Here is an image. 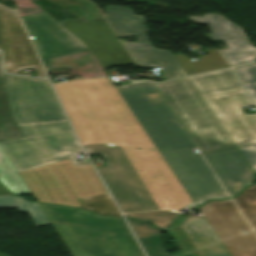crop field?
Here are the masks:
<instances>
[{
	"label": "crop field",
	"instance_id": "crop-field-31",
	"mask_svg": "<svg viewBox=\"0 0 256 256\" xmlns=\"http://www.w3.org/2000/svg\"><path fill=\"white\" fill-rule=\"evenodd\" d=\"M251 97L256 103V82L244 84Z\"/></svg>",
	"mask_w": 256,
	"mask_h": 256
},
{
	"label": "crop field",
	"instance_id": "crop-field-9",
	"mask_svg": "<svg viewBox=\"0 0 256 256\" xmlns=\"http://www.w3.org/2000/svg\"><path fill=\"white\" fill-rule=\"evenodd\" d=\"M45 68L46 59L87 51V47L45 12L21 18Z\"/></svg>",
	"mask_w": 256,
	"mask_h": 256
},
{
	"label": "crop field",
	"instance_id": "crop-field-14",
	"mask_svg": "<svg viewBox=\"0 0 256 256\" xmlns=\"http://www.w3.org/2000/svg\"><path fill=\"white\" fill-rule=\"evenodd\" d=\"M192 22L207 23L212 41L223 40L227 48L221 50L231 66L246 64L256 59V48L252 47L243 29L227 21L217 13L203 17L186 16Z\"/></svg>",
	"mask_w": 256,
	"mask_h": 256
},
{
	"label": "crop field",
	"instance_id": "crop-field-17",
	"mask_svg": "<svg viewBox=\"0 0 256 256\" xmlns=\"http://www.w3.org/2000/svg\"><path fill=\"white\" fill-rule=\"evenodd\" d=\"M105 17L117 36H136L138 42L149 43L143 17L134 16L131 9L116 6L103 7Z\"/></svg>",
	"mask_w": 256,
	"mask_h": 256
},
{
	"label": "crop field",
	"instance_id": "crop-field-13",
	"mask_svg": "<svg viewBox=\"0 0 256 256\" xmlns=\"http://www.w3.org/2000/svg\"><path fill=\"white\" fill-rule=\"evenodd\" d=\"M169 232L184 256L228 253L204 217L182 216Z\"/></svg>",
	"mask_w": 256,
	"mask_h": 256
},
{
	"label": "crop field",
	"instance_id": "crop-field-30",
	"mask_svg": "<svg viewBox=\"0 0 256 256\" xmlns=\"http://www.w3.org/2000/svg\"><path fill=\"white\" fill-rule=\"evenodd\" d=\"M256 174V145L238 147Z\"/></svg>",
	"mask_w": 256,
	"mask_h": 256
},
{
	"label": "crop field",
	"instance_id": "crop-field-8",
	"mask_svg": "<svg viewBox=\"0 0 256 256\" xmlns=\"http://www.w3.org/2000/svg\"><path fill=\"white\" fill-rule=\"evenodd\" d=\"M232 202L211 201L199 209L230 256H256V235Z\"/></svg>",
	"mask_w": 256,
	"mask_h": 256
},
{
	"label": "crop field",
	"instance_id": "crop-field-32",
	"mask_svg": "<svg viewBox=\"0 0 256 256\" xmlns=\"http://www.w3.org/2000/svg\"><path fill=\"white\" fill-rule=\"evenodd\" d=\"M75 167L90 165L89 162H77L75 158L71 159Z\"/></svg>",
	"mask_w": 256,
	"mask_h": 256
},
{
	"label": "crop field",
	"instance_id": "crop-field-15",
	"mask_svg": "<svg viewBox=\"0 0 256 256\" xmlns=\"http://www.w3.org/2000/svg\"><path fill=\"white\" fill-rule=\"evenodd\" d=\"M203 155L230 196L237 194L255 178L236 149Z\"/></svg>",
	"mask_w": 256,
	"mask_h": 256
},
{
	"label": "crop field",
	"instance_id": "crop-field-16",
	"mask_svg": "<svg viewBox=\"0 0 256 256\" xmlns=\"http://www.w3.org/2000/svg\"><path fill=\"white\" fill-rule=\"evenodd\" d=\"M123 43L139 67H160L167 79L186 75L171 51L155 49L150 44Z\"/></svg>",
	"mask_w": 256,
	"mask_h": 256
},
{
	"label": "crop field",
	"instance_id": "crop-field-24",
	"mask_svg": "<svg viewBox=\"0 0 256 256\" xmlns=\"http://www.w3.org/2000/svg\"><path fill=\"white\" fill-rule=\"evenodd\" d=\"M234 201L256 232V184L243 190Z\"/></svg>",
	"mask_w": 256,
	"mask_h": 256
},
{
	"label": "crop field",
	"instance_id": "crop-field-12",
	"mask_svg": "<svg viewBox=\"0 0 256 256\" xmlns=\"http://www.w3.org/2000/svg\"><path fill=\"white\" fill-rule=\"evenodd\" d=\"M61 25L86 44L102 68L134 64L104 18Z\"/></svg>",
	"mask_w": 256,
	"mask_h": 256
},
{
	"label": "crop field",
	"instance_id": "crop-field-34",
	"mask_svg": "<svg viewBox=\"0 0 256 256\" xmlns=\"http://www.w3.org/2000/svg\"><path fill=\"white\" fill-rule=\"evenodd\" d=\"M0 48H1V45H0Z\"/></svg>",
	"mask_w": 256,
	"mask_h": 256
},
{
	"label": "crop field",
	"instance_id": "crop-field-5",
	"mask_svg": "<svg viewBox=\"0 0 256 256\" xmlns=\"http://www.w3.org/2000/svg\"><path fill=\"white\" fill-rule=\"evenodd\" d=\"M36 201L78 207L79 198L105 193L92 166L75 168L71 160L20 172Z\"/></svg>",
	"mask_w": 256,
	"mask_h": 256
},
{
	"label": "crop field",
	"instance_id": "crop-field-21",
	"mask_svg": "<svg viewBox=\"0 0 256 256\" xmlns=\"http://www.w3.org/2000/svg\"><path fill=\"white\" fill-rule=\"evenodd\" d=\"M17 207L19 211L28 213L36 226L50 224L38 203L26 201L15 195L0 196V208Z\"/></svg>",
	"mask_w": 256,
	"mask_h": 256
},
{
	"label": "crop field",
	"instance_id": "crop-field-28",
	"mask_svg": "<svg viewBox=\"0 0 256 256\" xmlns=\"http://www.w3.org/2000/svg\"><path fill=\"white\" fill-rule=\"evenodd\" d=\"M131 229L137 236V238L140 237H145V236H150L158 233H162L163 231L158 230L148 224H145L140 221H135V220H127Z\"/></svg>",
	"mask_w": 256,
	"mask_h": 256
},
{
	"label": "crop field",
	"instance_id": "crop-field-7",
	"mask_svg": "<svg viewBox=\"0 0 256 256\" xmlns=\"http://www.w3.org/2000/svg\"><path fill=\"white\" fill-rule=\"evenodd\" d=\"M85 148L89 155L102 154L108 167L97 169L122 212L157 209L119 147L90 145Z\"/></svg>",
	"mask_w": 256,
	"mask_h": 256
},
{
	"label": "crop field",
	"instance_id": "crop-field-33",
	"mask_svg": "<svg viewBox=\"0 0 256 256\" xmlns=\"http://www.w3.org/2000/svg\"><path fill=\"white\" fill-rule=\"evenodd\" d=\"M214 256H229V254L214 255Z\"/></svg>",
	"mask_w": 256,
	"mask_h": 256
},
{
	"label": "crop field",
	"instance_id": "crop-field-23",
	"mask_svg": "<svg viewBox=\"0 0 256 256\" xmlns=\"http://www.w3.org/2000/svg\"><path fill=\"white\" fill-rule=\"evenodd\" d=\"M0 182L15 194L30 193L15 168L0 148Z\"/></svg>",
	"mask_w": 256,
	"mask_h": 256
},
{
	"label": "crop field",
	"instance_id": "crop-field-19",
	"mask_svg": "<svg viewBox=\"0 0 256 256\" xmlns=\"http://www.w3.org/2000/svg\"><path fill=\"white\" fill-rule=\"evenodd\" d=\"M209 54L200 55L198 62L190 61L187 57L177 54L176 59L187 75L226 68L227 65L216 50L206 49ZM214 65V67H211Z\"/></svg>",
	"mask_w": 256,
	"mask_h": 256
},
{
	"label": "crop field",
	"instance_id": "crop-field-3",
	"mask_svg": "<svg viewBox=\"0 0 256 256\" xmlns=\"http://www.w3.org/2000/svg\"><path fill=\"white\" fill-rule=\"evenodd\" d=\"M11 116L24 138L0 142L18 172L60 161L44 134L71 131L46 79L6 75Z\"/></svg>",
	"mask_w": 256,
	"mask_h": 256
},
{
	"label": "crop field",
	"instance_id": "crop-field-29",
	"mask_svg": "<svg viewBox=\"0 0 256 256\" xmlns=\"http://www.w3.org/2000/svg\"><path fill=\"white\" fill-rule=\"evenodd\" d=\"M242 83L256 81V64H249L234 68Z\"/></svg>",
	"mask_w": 256,
	"mask_h": 256
},
{
	"label": "crop field",
	"instance_id": "crop-field-2",
	"mask_svg": "<svg viewBox=\"0 0 256 256\" xmlns=\"http://www.w3.org/2000/svg\"><path fill=\"white\" fill-rule=\"evenodd\" d=\"M116 87L196 206L223 199V190L179 121L152 83L128 81Z\"/></svg>",
	"mask_w": 256,
	"mask_h": 256
},
{
	"label": "crop field",
	"instance_id": "crop-field-10",
	"mask_svg": "<svg viewBox=\"0 0 256 256\" xmlns=\"http://www.w3.org/2000/svg\"><path fill=\"white\" fill-rule=\"evenodd\" d=\"M203 99L236 147L256 144V114H244L240 108L252 105L244 91Z\"/></svg>",
	"mask_w": 256,
	"mask_h": 256
},
{
	"label": "crop field",
	"instance_id": "crop-field-11",
	"mask_svg": "<svg viewBox=\"0 0 256 256\" xmlns=\"http://www.w3.org/2000/svg\"><path fill=\"white\" fill-rule=\"evenodd\" d=\"M0 37L4 62H11L7 73L35 67L38 77H46L44 69L26 35L16 10L0 4Z\"/></svg>",
	"mask_w": 256,
	"mask_h": 256
},
{
	"label": "crop field",
	"instance_id": "crop-field-27",
	"mask_svg": "<svg viewBox=\"0 0 256 256\" xmlns=\"http://www.w3.org/2000/svg\"><path fill=\"white\" fill-rule=\"evenodd\" d=\"M139 241L148 256H169L162 246L160 234L140 238Z\"/></svg>",
	"mask_w": 256,
	"mask_h": 256
},
{
	"label": "crop field",
	"instance_id": "crop-field-18",
	"mask_svg": "<svg viewBox=\"0 0 256 256\" xmlns=\"http://www.w3.org/2000/svg\"><path fill=\"white\" fill-rule=\"evenodd\" d=\"M201 96L242 90L229 69L194 75L189 77Z\"/></svg>",
	"mask_w": 256,
	"mask_h": 256
},
{
	"label": "crop field",
	"instance_id": "crop-field-4",
	"mask_svg": "<svg viewBox=\"0 0 256 256\" xmlns=\"http://www.w3.org/2000/svg\"><path fill=\"white\" fill-rule=\"evenodd\" d=\"M72 256H144L124 220L39 203Z\"/></svg>",
	"mask_w": 256,
	"mask_h": 256
},
{
	"label": "crop field",
	"instance_id": "crop-field-6",
	"mask_svg": "<svg viewBox=\"0 0 256 256\" xmlns=\"http://www.w3.org/2000/svg\"><path fill=\"white\" fill-rule=\"evenodd\" d=\"M156 85L204 152L235 147L188 77Z\"/></svg>",
	"mask_w": 256,
	"mask_h": 256
},
{
	"label": "crop field",
	"instance_id": "crop-field-20",
	"mask_svg": "<svg viewBox=\"0 0 256 256\" xmlns=\"http://www.w3.org/2000/svg\"><path fill=\"white\" fill-rule=\"evenodd\" d=\"M19 136L22 135L10 116L6 78L0 64V140Z\"/></svg>",
	"mask_w": 256,
	"mask_h": 256
},
{
	"label": "crop field",
	"instance_id": "crop-field-22",
	"mask_svg": "<svg viewBox=\"0 0 256 256\" xmlns=\"http://www.w3.org/2000/svg\"><path fill=\"white\" fill-rule=\"evenodd\" d=\"M46 137L62 161L84 153L73 132L49 134Z\"/></svg>",
	"mask_w": 256,
	"mask_h": 256
},
{
	"label": "crop field",
	"instance_id": "crop-field-26",
	"mask_svg": "<svg viewBox=\"0 0 256 256\" xmlns=\"http://www.w3.org/2000/svg\"><path fill=\"white\" fill-rule=\"evenodd\" d=\"M126 217L135 218L150 223L155 227L167 231L168 227L178 218L179 214L169 211H156L147 213L125 214Z\"/></svg>",
	"mask_w": 256,
	"mask_h": 256
},
{
	"label": "crop field",
	"instance_id": "crop-field-1",
	"mask_svg": "<svg viewBox=\"0 0 256 256\" xmlns=\"http://www.w3.org/2000/svg\"><path fill=\"white\" fill-rule=\"evenodd\" d=\"M53 85L83 145L120 146L158 209L193 204L109 78Z\"/></svg>",
	"mask_w": 256,
	"mask_h": 256
},
{
	"label": "crop field",
	"instance_id": "crop-field-25",
	"mask_svg": "<svg viewBox=\"0 0 256 256\" xmlns=\"http://www.w3.org/2000/svg\"><path fill=\"white\" fill-rule=\"evenodd\" d=\"M81 200L84 204L80 207L105 215L121 217L108 193L82 198ZM93 202L95 204H92Z\"/></svg>",
	"mask_w": 256,
	"mask_h": 256
}]
</instances>
